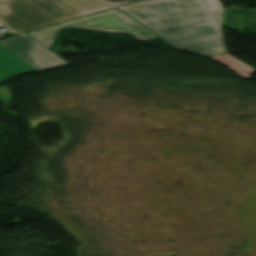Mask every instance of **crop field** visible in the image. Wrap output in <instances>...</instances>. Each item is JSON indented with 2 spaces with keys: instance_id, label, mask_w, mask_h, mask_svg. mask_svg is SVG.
Listing matches in <instances>:
<instances>
[{
  "instance_id": "obj_1",
  "label": "crop field",
  "mask_w": 256,
  "mask_h": 256,
  "mask_svg": "<svg viewBox=\"0 0 256 256\" xmlns=\"http://www.w3.org/2000/svg\"><path fill=\"white\" fill-rule=\"evenodd\" d=\"M119 9L173 47L207 57L227 53L219 0H152Z\"/></svg>"
},
{
  "instance_id": "obj_2",
  "label": "crop field",
  "mask_w": 256,
  "mask_h": 256,
  "mask_svg": "<svg viewBox=\"0 0 256 256\" xmlns=\"http://www.w3.org/2000/svg\"><path fill=\"white\" fill-rule=\"evenodd\" d=\"M106 8L99 0H0V25L16 33Z\"/></svg>"
},
{
  "instance_id": "obj_3",
  "label": "crop field",
  "mask_w": 256,
  "mask_h": 256,
  "mask_svg": "<svg viewBox=\"0 0 256 256\" xmlns=\"http://www.w3.org/2000/svg\"><path fill=\"white\" fill-rule=\"evenodd\" d=\"M65 27L85 28L110 33H129L143 42L157 39V37L117 9L47 26L27 32V34L49 49L58 29Z\"/></svg>"
},
{
  "instance_id": "obj_4",
  "label": "crop field",
  "mask_w": 256,
  "mask_h": 256,
  "mask_svg": "<svg viewBox=\"0 0 256 256\" xmlns=\"http://www.w3.org/2000/svg\"><path fill=\"white\" fill-rule=\"evenodd\" d=\"M0 44L38 71L67 65L65 61L25 33L0 41Z\"/></svg>"
},
{
  "instance_id": "obj_5",
  "label": "crop field",
  "mask_w": 256,
  "mask_h": 256,
  "mask_svg": "<svg viewBox=\"0 0 256 256\" xmlns=\"http://www.w3.org/2000/svg\"><path fill=\"white\" fill-rule=\"evenodd\" d=\"M32 72L36 70L0 46V84L11 77Z\"/></svg>"
},
{
  "instance_id": "obj_6",
  "label": "crop field",
  "mask_w": 256,
  "mask_h": 256,
  "mask_svg": "<svg viewBox=\"0 0 256 256\" xmlns=\"http://www.w3.org/2000/svg\"><path fill=\"white\" fill-rule=\"evenodd\" d=\"M210 58L227 65L232 70L236 71L238 74L245 78H249L252 75V71L254 70L247 64L242 63L240 60L235 59L228 54L213 56Z\"/></svg>"
},
{
  "instance_id": "obj_7",
  "label": "crop field",
  "mask_w": 256,
  "mask_h": 256,
  "mask_svg": "<svg viewBox=\"0 0 256 256\" xmlns=\"http://www.w3.org/2000/svg\"><path fill=\"white\" fill-rule=\"evenodd\" d=\"M105 1L111 3L114 6H118V5L136 2V1H140V0H105Z\"/></svg>"
},
{
  "instance_id": "obj_8",
  "label": "crop field",
  "mask_w": 256,
  "mask_h": 256,
  "mask_svg": "<svg viewBox=\"0 0 256 256\" xmlns=\"http://www.w3.org/2000/svg\"><path fill=\"white\" fill-rule=\"evenodd\" d=\"M0 28H2V27L0 26Z\"/></svg>"
}]
</instances>
